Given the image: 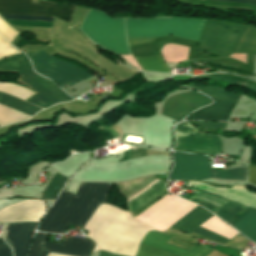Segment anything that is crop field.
I'll list each match as a JSON object with an SVG mask.
<instances>
[{
  "label": "crop field",
  "instance_id": "38",
  "mask_svg": "<svg viewBox=\"0 0 256 256\" xmlns=\"http://www.w3.org/2000/svg\"><path fill=\"white\" fill-rule=\"evenodd\" d=\"M215 1H222V2H239V3H246L256 6V0H215Z\"/></svg>",
  "mask_w": 256,
  "mask_h": 256
},
{
  "label": "crop field",
  "instance_id": "30",
  "mask_svg": "<svg viewBox=\"0 0 256 256\" xmlns=\"http://www.w3.org/2000/svg\"><path fill=\"white\" fill-rule=\"evenodd\" d=\"M137 256H173L164 251L140 244Z\"/></svg>",
  "mask_w": 256,
  "mask_h": 256
},
{
  "label": "crop field",
  "instance_id": "6",
  "mask_svg": "<svg viewBox=\"0 0 256 256\" xmlns=\"http://www.w3.org/2000/svg\"><path fill=\"white\" fill-rule=\"evenodd\" d=\"M0 72H22L21 79L24 83L38 92L27 102L41 108H46L54 103L73 100L64 94L53 82L40 77L31 70V64L25 54L0 62Z\"/></svg>",
  "mask_w": 256,
  "mask_h": 256
},
{
  "label": "crop field",
  "instance_id": "15",
  "mask_svg": "<svg viewBox=\"0 0 256 256\" xmlns=\"http://www.w3.org/2000/svg\"><path fill=\"white\" fill-rule=\"evenodd\" d=\"M211 102L209 98L199 93L185 92L169 97L164 103L162 114L179 122L191 112Z\"/></svg>",
  "mask_w": 256,
  "mask_h": 256
},
{
  "label": "crop field",
  "instance_id": "26",
  "mask_svg": "<svg viewBox=\"0 0 256 256\" xmlns=\"http://www.w3.org/2000/svg\"><path fill=\"white\" fill-rule=\"evenodd\" d=\"M29 118L31 117L0 105V126Z\"/></svg>",
  "mask_w": 256,
  "mask_h": 256
},
{
  "label": "crop field",
  "instance_id": "41",
  "mask_svg": "<svg viewBox=\"0 0 256 256\" xmlns=\"http://www.w3.org/2000/svg\"><path fill=\"white\" fill-rule=\"evenodd\" d=\"M48 256H66V255H60V254L49 253Z\"/></svg>",
  "mask_w": 256,
  "mask_h": 256
},
{
  "label": "crop field",
  "instance_id": "31",
  "mask_svg": "<svg viewBox=\"0 0 256 256\" xmlns=\"http://www.w3.org/2000/svg\"><path fill=\"white\" fill-rule=\"evenodd\" d=\"M17 49L7 43L3 38L0 37V59L9 57L15 54H19Z\"/></svg>",
  "mask_w": 256,
  "mask_h": 256
},
{
  "label": "crop field",
  "instance_id": "16",
  "mask_svg": "<svg viewBox=\"0 0 256 256\" xmlns=\"http://www.w3.org/2000/svg\"><path fill=\"white\" fill-rule=\"evenodd\" d=\"M45 213L41 200H25L0 211V223L17 221H39Z\"/></svg>",
  "mask_w": 256,
  "mask_h": 256
},
{
  "label": "crop field",
  "instance_id": "39",
  "mask_svg": "<svg viewBox=\"0 0 256 256\" xmlns=\"http://www.w3.org/2000/svg\"><path fill=\"white\" fill-rule=\"evenodd\" d=\"M231 57L238 59L245 63L246 55H240V54H233Z\"/></svg>",
  "mask_w": 256,
  "mask_h": 256
},
{
  "label": "crop field",
  "instance_id": "8",
  "mask_svg": "<svg viewBox=\"0 0 256 256\" xmlns=\"http://www.w3.org/2000/svg\"><path fill=\"white\" fill-rule=\"evenodd\" d=\"M76 6L60 5L48 1L39 0H0V14L27 15L56 17L70 22ZM2 15L5 19L24 21L53 22L54 18L9 16Z\"/></svg>",
  "mask_w": 256,
  "mask_h": 256
},
{
  "label": "crop field",
  "instance_id": "33",
  "mask_svg": "<svg viewBox=\"0 0 256 256\" xmlns=\"http://www.w3.org/2000/svg\"><path fill=\"white\" fill-rule=\"evenodd\" d=\"M216 248L224 250V251H226V252H228V253H230V254H232L234 256H241L240 255L241 250H239V249H234V248H229V247H224V246H219V245H216L214 247V249H216ZM218 249H216V250L221 252V253H223V254H226L227 256H232V255H230V254H228V253H226L224 251L218 250Z\"/></svg>",
  "mask_w": 256,
  "mask_h": 256
},
{
  "label": "crop field",
  "instance_id": "32",
  "mask_svg": "<svg viewBox=\"0 0 256 256\" xmlns=\"http://www.w3.org/2000/svg\"><path fill=\"white\" fill-rule=\"evenodd\" d=\"M18 33L12 29L10 26H8L3 19L0 17V35L3 36L7 41L11 43V41L14 39V37Z\"/></svg>",
  "mask_w": 256,
  "mask_h": 256
},
{
  "label": "crop field",
  "instance_id": "24",
  "mask_svg": "<svg viewBox=\"0 0 256 256\" xmlns=\"http://www.w3.org/2000/svg\"><path fill=\"white\" fill-rule=\"evenodd\" d=\"M137 62L143 70L170 73L167 65L160 56L138 59Z\"/></svg>",
  "mask_w": 256,
  "mask_h": 256
},
{
  "label": "crop field",
  "instance_id": "29",
  "mask_svg": "<svg viewBox=\"0 0 256 256\" xmlns=\"http://www.w3.org/2000/svg\"><path fill=\"white\" fill-rule=\"evenodd\" d=\"M204 78H212V79H223L241 86H244L246 88H249L251 90L256 91V85L252 84L240 77L230 76V75H224V74H212V75H204Z\"/></svg>",
  "mask_w": 256,
  "mask_h": 256
},
{
  "label": "crop field",
  "instance_id": "35",
  "mask_svg": "<svg viewBox=\"0 0 256 256\" xmlns=\"http://www.w3.org/2000/svg\"><path fill=\"white\" fill-rule=\"evenodd\" d=\"M249 167V182L256 185V166L248 164Z\"/></svg>",
  "mask_w": 256,
  "mask_h": 256
},
{
  "label": "crop field",
  "instance_id": "27",
  "mask_svg": "<svg viewBox=\"0 0 256 256\" xmlns=\"http://www.w3.org/2000/svg\"><path fill=\"white\" fill-rule=\"evenodd\" d=\"M0 91L13 95L24 101L27 100L29 97H31L33 94H35L23 87H19L14 84H5V83H0Z\"/></svg>",
  "mask_w": 256,
  "mask_h": 256
},
{
  "label": "crop field",
  "instance_id": "34",
  "mask_svg": "<svg viewBox=\"0 0 256 256\" xmlns=\"http://www.w3.org/2000/svg\"><path fill=\"white\" fill-rule=\"evenodd\" d=\"M201 127L205 128H221L224 129L226 123H210V122H196Z\"/></svg>",
  "mask_w": 256,
  "mask_h": 256
},
{
  "label": "crop field",
  "instance_id": "20",
  "mask_svg": "<svg viewBox=\"0 0 256 256\" xmlns=\"http://www.w3.org/2000/svg\"><path fill=\"white\" fill-rule=\"evenodd\" d=\"M233 227L256 243V211L250 210Z\"/></svg>",
  "mask_w": 256,
  "mask_h": 256
},
{
  "label": "crop field",
  "instance_id": "40",
  "mask_svg": "<svg viewBox=\"0 0 256 256\" xmlns=\"http://www.w3.org/2000/svg\"><path fill=\"white\" fill-rule=\"evenodd\" d=\"M99 256H115V255H111L107 252L101 251Z\"/></svg>",
  "mask_w": 256,
  "mask_h": 256
},
{
  "label": "crop field",
  "instance_id": "36",
  "mask_svg": "<svg viewBox=\"0 0 256 256\" xmlns=\"http://www.w3.org/2000/svg\"><path fill=\"white\" fill-rule=\"evenodd\" d=\"M0 256H12L10 248L2 241H0Z\"/></svg>",
  "mask_w": 256,
  "mask_h": 256
},
{
  "label": "crop field",
  "instance_id": "9",
  "mask_svg": "<svg viewBox=\"0 0 256 256\" xmlns=\"http://www.w3.org/2000/svg\"><path fill=\"white\" fill-rule=\"evenodd\" d=\"M174 168L168 180H201L209 177L245 180V167L227 171L209 170L206 157L173 153Z\"/></svg>",
  "mask_w": 256,
  "mask_h": 256
},
{
  "label": "crop field",
  "instance_id": "37",
  "mask_svg": "<svg viewBox=\"0 0 256 256\" xmlns=\"http://www.w3.org/2000/svg\"><path fill=\"white\" fill-rule=\"evenodd\" d=\"M120 57L123 58L124 60H126L127 62H129L130 64H132L133 66H135L136 68L142 70L141 67L133 59L132 55H124V56H120Z\"/></svg>",
  "mask_w": 256,
  "mask_h": 256
},
{
  "label": "crop field",
  "instance_id": "21",
  "mask_svg": "<svg viewBox=\"0 0 256 256\" xmlns=\"http://www.w3.org/2000/svg\"><path fill=\"white\" fill-rule=\"evenodd\" d=\"M235 53L256 54V29L247 28L237 43Z\"/></svg>",
  "mask_w": 256,
  "mask_h": 256
},
{
  "label": "crop field",
  "instance_id": "19",
  "mask_svg": "<svg viewBox=\"0 0 256 256\" xmlns=\"http://www.w3.org/2000/svg\"><path fill=\"white\" fill-rule=\"evenodd\" d=\"M170 238L171 236L162 233L148 232L144 237L142 244L167 251L176 256H206L212 251L195 246L193 249L187 252L178 247L166 244Z\"/></svg>",
  "mask_w": 256,
  "mask_h": 256
},
{
  "label": "crop field",
  "instance_id": "14",
  "mask_svg": "<svg viewBox=\"0 0 256 256\" xmlns=\"http://www.w3.org/2000/svg\"><path fill=\"white\" fill-rule=\"evenodd\" d=\"M47 234L36 233L30 256H46L49 251L73 255L89 256L94 243L88 239L72 238L62 239L61 244L45 242Z\"/></svg>",
  "mask_w": 256,
  "mask_h": 256
},
{
  "label": "crop field",
  "instance_id": "11",
  "mask_svg": "<svg viewBox=\"0 0 256 256\" xmlns=\"http://www.w3.org/2000/svg\"><path fill=\"white\" fill-rule=\"evenodd\" d=\"M33 63L34 69L50 77L60 86L72 85L76 81L90 77L84 70L67 62L46 55L42 50L26 54Z\"/></svg>",
  "mask_w": 256,
  "mask_h": 256
},
{
  "label": "crop field",
  "instance_id": "7",
  "mask_svg": "<svg viewBox=\"0 0 256 256\" xmlns=\"http://www.w3.org/2000/svg\"><path fill=\"white\" fill-rule=\"evenodd\" d=\"M81 31L91 40L114 53H130L126 44L123 19H112L90 9L81 26Z\"/></svg>",
  "mask_w": 256,
  "mask_h": 256
},
{
  "label": "crop field",
  "instance_id": "18",
  "mask_svg": "<svg viewBox=\"0 0 256 256\" xmlns=\"http://www.w3.org/2000/svg\"><path fill=\"white\" fill-rule=\"evenodd\" d=\"M37 223H11L8 226V232L5 242L8 243L15 256H27L30 239Z\"/></svg>",
  "mask_w": 256,
  "mask_h": 256
},
{
  "label": "crop field",
  "instance_id": "25",
  "mask_svg": "<svg viewBox=\"0 0 256 256\" xmlns=\"http://www.w3.org/2000/svg\"><path fill=\"white\" fill-rule=\"evenodd\" d=\"M162 55L166 62L178 63L180 61L186 60L183 47L178 45L168 44L164 46Z\"/></svg>",
  "mask_w": 256,
  "mask_h": 256
},
{
  "label": "crop field",
  "instance_id": "28",
  "mask_svg": "<svg viewBox=\"0 0 256 256\" xmlns=\"http://www.w3.org/2000/svg\"><path fill=\"white\" fill-rule=\"evenodd\" d=\"M65 180V177L61 176L59 173H56L44 191V199H54L57 191Z\"/></svg>",
  "mask_w": 256,
  "mask_h": 256
},
{
  "label": "crop field",
  "instance_id": "2",
  "mask_svg": "<svg viewBox=\"0 0 256 256\" xmlns=\"http://www.w3.org/2000/svg\"><path fill=\"white\" fill-rule=\"evenodd\" d=\"M114 207L100 205L83 228L89 231L88 237L96 243L93 252L106 250L119 255L136 256L142 238L152 229L132 219L129 213Z\"/></svg>",
  "mask_w": 256,
  "mask_h": 256
},
{
  "label": "crop field",
  "instance_id": "12",
  "mask_svg": "<svg viewBox=\"0 0 256 256\" xmlns=\"http://www.w3.org/2000/svg\"><path fill=\"white\" fill-rule=\"evenodd\" d=\"M175 138L176 145L173 150L203 154L222 153L219 137L198 133L186 122L175 127Z\"/></svg>",
  "mask_w": 256,
  "mask_h": 256
},
{
  "label": "crop field",
  "instance_id": "23",
  "mask_svg": "<svg viewBox=\"0 0 256 256\" xmlns=\"http://www.w3.org/2000/svg\"><path fill=\"white\" fill-rule=\"evenodd\" d=\"M201 227L208 229L210 231H213L217 234H220L222 236H225L229 239L233 238L238 233L231 229L227 224L223 223L216 217L210 218L208 221H206Z\"/></svg>",
  "mask_w": 256,
  "mask_h": 256
},
{
  "label": "crop field",
  "instance_id": "1",
  "mask_svg": "<svg viewBox=\"0 0 256 256\" xmlns=\"http://www.w3.org/2000/svg\"><path fill=\"white\" fill-rule=\"evenodd\" d=\"M157 179L154 177V175H152L116 184L121 194L129 199L132 196L143 191L144 189L148 188L149 186L158 182L159 180ZM163 189H165V183L160 181L155 185L149 187L148 189L144 190L143 192L139 193L138 195L127 200V205L130 213H132L138 207L150 200ZM167 193L168 192L166 189L163 190L157 196H155L150 201L141 206L139 209L134 211L131 216L136 219ZM151 202L153 203L149 205V203ZM196 206L197 205L191 202L176 198L173 195H166L136 220L148 225L155 231L164 233L168 227H170L172 224H174Z\"/></svg>",
  "mask_w": 256,
  "mask_h": 256
},
{
  "label": "crop field",
  "instance_id": "4",
  "mask_svg": "<svg viewBox=\"0 0 256 256\" xmlns=\"http://www.w3.org/2000/svg\"><path fill=\"white\" fill-rule=\"evenodd\" d=\"M189 185L195 187L194 192L205 194L224 201L226 200L231 190L230 188L211 187L209 185H215L202 182L190 181ZM201 194L196 193L194 196L189 198V200H192L198 204L201 203L202 206L205 207L207 210L216 214L220 207L223 205L224 201L207 197ZM226 201L249 209H256V195L249 191H246L244 186H233V189L231 190ZM227 202L224 203V205L221 207L216 215L233 226L243 215H245L249 211V209L236 206ZM222 211L228 214H224L222 213Z\"/></svg>",
  "mask_w": 256,
  "mask_h": 256
},
{
  "label": "crop field",
  "instance_id": "10",
  "mask_svg": "<svg viewBox=\"0 0 256 256\" xmlns=\"http://www.w3.org/2000/svg\"><path fill=\"white\" fill-rule=\"evenodd\" d=\"M245 28L220 21H205L197 50L230 55Z\"/></svg>",
  "mask_w": 256,
  "mask_h": 256
},
{
  "label": "crop field",
  "instance_id": "3",
  "mask_svg": "<svg viewBox=\"0 0 256 256\" xmlns=\"http://www.w3.org/2000/svg\"><path fill=\"white\" fill-rule=\"evenodd\" d=\"M111 184L82 183L77 194L63 191L37 230L64 233L69 225L83 226L99 203H105Z\"/></svg>",
  "mask_w": 256,
  "mask_h": 256
},
{
  "label": "crop field",
  "instance_id": "5",
  "mask_svg": "<svg viewBox=\"0 0 256 256\" xmlns=\"http://www.w3.org/2000/svg\"><path fill=\"white\" fill-rule=\"evenodd\" d=\"M202 21L191 19H126L128 37H160L172 35L198 41Z\"/></svg>",
  "mask_w": 256,
  "mask_h": 256
},
{
  "label": "crop field",
  "instance_id": "17",
  "mask_svg": "<svg viewBox=\"0 0 256 256\" xmlns=\"http://www.w3.org/2000/svg\"><path fill=\"white\" fill-rule=\"evenodd\" d=\"M211 216V214L201 210L199 207H196L194 210L181 218L176 224H174L172 228L181 230L187 234L194 231L211 240H215L223 244L227 243L229 239L199 227Z\"/></svg>",
  "mask_w": 256,
  "mask_h": 256
},
{
  "label": "crop field",
  "instance_id": "13",
  "mask_svg": "<svg viewBox=\"0 0 256 256\" xmlns=\"http://www.w3.org/2000/svg\"><path fill=\"white\" fill-rule=\"evenodd\" d=\"M189 88L199 90L215 98V102L207 107L199 109L186 120H221L225 121L233 104L239 97V94L225 92L213 86L190 85Z\"/></svg>",
  "mask_w": 256,
  "mask_h": 256
},
{
  "label": "crop field",
  "instance_id": "22",
  "mask_svg": "<svg viewBox=\"0 0 256 256\" xmlns=\"http://www.w3.org/2000/svg\"><path fill=\"white\" fill-rule=\"evenodd\" d=\"M0 104L6 105L8 107H11L13 109H16L18 111L24 112L26 114H29L33 116L38 111L42 110L38 107H35L33 105H30L26 102H23L21 100L6 96L4 94H0Z\"/></svg>",
  "mask_w": 256,
  "mask_h": 256
}]
</instances>
